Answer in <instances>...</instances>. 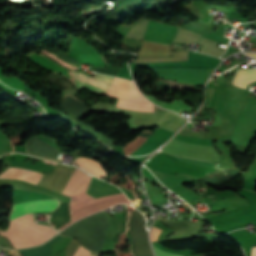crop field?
<instances>
[{
    "label": "crop field",
    "instance_id": "1",
    "mask_svg": "<svg viewBox=\"0 0 256 256\" xmlns=\"http://www.w3.org/2000/svg\"><path fill=\"white\" fill-rule=\"evenodd\" d=\"M10 229L21 233L31 239H34L40 243L46 241L47 239L51 238L52 234L20 219L15 218L12 221H10ZM6 230L5 232H0L1 235L6 236L13 244L15 248H25L33 245H37L39 243L20 235L12 230Z\"/></svg>",
    "mask_w": 256,
    "mask_h": 256
},
{
    "label": "crop field",
    "instance_id": "10",
    "mask_svg": "<svg viewBox=\"0 0 256 256\" xmlns=\"http://www.w3.org/2000/svg\"><path fill=\"white\" fill-rule=\"evenodd\" d=\"M88 69L96 71L98 73L110 74L114 76H116L118 71L120 70L119 67H113V66H110L107 69L105 68H88Z\"/></svg>",
    "mask_w": 256,
    "mask_h": 256
},
{
    "label": "crop field",
    "instance_id": "12",
    "mask_svg": "<svg viewBox=\"0 0 256 256\" xmlns=\"http://www.w3.org/2000/svg\"><path fill=\"white\" fill-rule=\"evenodd\" d=\"M178 160H182V161H186V162H190V163H194V164H199V165H204V166H209V167H213L214 165L210 162H203V161H198V160H193V159H189V158H185V157H177Z\"/></svg>",
    "mask_w": 256,
    "mask_h": 256
},
{
    "label": "crop field",
    "instance_id": "4",
    "mask_svg": "<svg viewBox=\"0 0 256 256\" xmlns=\"http://www.w3.org/2000/svg\"><path fill=\"white\" fill-rule=\"evenodd\" d=\"M59 204L56 199L31 201L25 203L14 204L12 207L10 220L16 216L26 213L53 211Z\"/></svg>",
    "mask_w": 256,
    "mask_h": 256
},
{
    "label": "crop field",
    "instance_id": "20",
    "mask_svg": "<svg viewBox=\"0 0 256 256\" xmlns=\"http://www.w3.org/2000/svg\"><path fill=\"white\" fill-rule=\"evenodd\" d=\"M54 160V159H53Z\"/></svg>",
    "mask_w": 256,
    "mask_h": 256
},
{
    "label": "crop field",
    "instance_id": "11",
    "mask_svg": "<svg viewBox=\"0 0 256 256\" xmlns=\"http://www.w3.org/2000/svg\"><path fill=\"white\" fill-rule=\"evenodd\" d=\"M145 139L146 138L137 137L134 140H132L130 143H127L126 146L124 147V153L127 155Z\"/></svg>",
    "mask_w": 256,
    "mask_h": 256
},
{
    "label": "crop field",
    "instance_id": "8",
    "mask_svg": "<svg viewBox=\"0 0 256 256\" xmlns=\"http://www.w3.org/2000/svg\"><path fill=\"white\" fill-rule=\"evenodd\" d=\"M51 216L56 229L70 221L69 203L60 204V206L51 213Z\"/></svg>",
    "mask_w": 256,
    "mask_h": 256
},
{
    "label": "crop field",
    "instance_id": "18",
    "mask_svg": "<svg viewBox=\"0 0 256 256\" xmlns=\"http://www.w3.org/2000/svg\"><path fill=\"white\" fill-rule=\"evenodd\" d=\"M247 55H249V56H252V57L256 58V53H247Z\"/></svg>",
    "mask_w": 256,
    "mask_h": 256
},
{
    "label": "crop field",
    "instance_id": "17",
    "mask_svg": "<svg viewBox=\"0 0 256 256\" xmlns=\"http://www.w3.org/2000/svg\"><path fill=\"white\" fill-rule=\"evenodd\" d=\"M251 256H256V247L252 248Z\"/></svg>",
    "mask_w": 256,
    "mask_h": 256
},
{
    "label": "crop field",
    "instance_id": "19",
    "mask_svg": "<svg viewBox=\"0 0 256 256\" xmlns=\"http://www.w3.org/2000/svg\"><path fill=\"white\" fill-rule=\"evenodd\" d=\"M91 256H94V255H91Z\"/></svg>",
    "mask_w": 256,
    "mask_h": 256
},
{
    "label": "crop field",
    "instance_id": "9",
    "mask_svg": "<svg viewBox=\"0 0 256 256\" xmlns=\"http://www.w3.org/2000/svg\"><path fill=\"white\" fill-rule=\"evenodd\" d=\"M148 99H150L152 102L162 106V107H165V108H168L170 110H173V111H176V112H180L183 108L185 109H189V108H192L188 105H185L183 101H178V100H174L172 104H169V103H164V102H160V101H156L154 100L153 97H150V96H147L145 95Z\"/></svg>",
    "mask_w": 256,
    "mask_h": 256
},
{
    "label": "crop field",
    "instance_id": "2",
    "mask_svg": "<svg viewBox=\"0 0 256 256\" xmlns=\"http://www.w3.org/2000/svg\"><path fill=\"white\" fill-rule=\"evenodd\" d=\"M127 228L133 242L134 256H153L147 240V231L144 229V217L133 208L127 206Z\"/></svg>",
    "mask_w": 256,
    "mask_h": 256
},
{
    "label": "crop field",
    "instance_id": "3",
    "mask_svg": "<svg viewBox=\"0 0 256 256\" xmlns=\"http://www.w3.org/2000/svg\"><path fill=\"white\" fill-rule=\"evenodd\" d=\"M76 84L80 89L83 87L103 95L109 88L113 77L96 74L93 78L77 71H73Z\"/></svg>",
    "mask_w": 256,
    "mask_h": 256
},
{
    "label": "crop field",
    "instance_id": "13",
    "mask_svg": "<svg viewBox=\"0 0 256 256\" xmlns=\"http://www.w3.org/2000/svg\"><path fill=\"white\" fill-rule=\"evenodd\" d=\"M47 52L50 53V54H52V55H55V56H57V57H59V58H62V59H64V60L68 61V62H73V63H75V64L78 63L77 61H75V60L69 58L68 56L64 55L63 53H61V52H59V51H47Z\"/></svg>",
    "mask_w": 256,
    "mask_h": 256
},
{
    "label": "crop field",
    "instance_id": "15",
    "mask_svg": "<svg viewBox=\"0 0 256 256\" xmlns=\"http://www.w3.org/2000/svg\"><path fill=\"white\" fill-rule=\"evenodd\" d=\"M159 232H161V230H159V229H157V228H155V227H152L150 240H151V241H156Z\"/></svg>",
    "mask_w": 256,
    "mask_h": 256
},
{
    "label": "crop field",
    "instance_id": "16",
    "mask_svg": "<svg viewBox=\"0 0 256 256\" xmlns=\"http://www.w3.org/2000/svg\"><path fill=\"white\" fill-rule=\"evenodd\" d=\"M85 248L81 247L77 250V252L74 254V256H81ZM90 252L85 249L82 256H89Z\"/></svg>",
    "mask_w": 256,
    "mask_h": 256
},
{
    "label": "crop field",
    "instance_id": "14",
    "mask_svg": "<svg viewBox=\"0 0 256 256\" xmlns=\"http://www.w3.org/2000/svg\"><path fill=\"white\" fill-rule=\"evenodd\" d=\"M154 247V252L156 256H178V255H174V254H170L164 251L159 250L158 248Z\"/></svg>",
    "mask_w": 256,
    "mask_h": 256
},
{
    "label": "crop field",
    "instance_id": "6",
    "mask_svg": "<svg viewBox=\"0 0 256 256\" xmlns=\"http://www.w3.org/2000/svg\"><path fill=\"white\" fill-rule=\"evenodd\" d=\"M256 80V70L238 69L233 84L246 89L247 84Z\"/></svg>",
    "mask_w": 256,
    "mask_h": 256
},
{
    "label": "crop field",
    "instance_id": "5",
    "mask_svg": "<svg viewBox=\"0 0 256 256\" xmlns=\"http://www.w3.org/2000/svg\"><path fill=\"white\" fill-rule=\"evenodd\" d=\"M46 163L54 164L49 161H45ZM42 174L33 172V171H28L20 168H9L7 171H5L3 174L0 175V178H7V179H22L28 182L36 183L38 184Z\"/></svg>",
    "mask_w": 256,
    "mask_h": 256
},
{
    "label": "crop field",
    "instance_id": "7",
    "mask_svg": "<svg viewBox=\"0 0 256 256\" xmlns=\"http://www.w3.org/2000/svg\"><path fill=\"white\" fill-rule=\"evenodd\" d=\"M75 162L82 169H84L85 171H87L88 173H90L96 177L102 178L105 175H107L103 172V170H102L103 168L101 169V167L99 166L98 163H96L90 159L77 158V159H75Z\"/></svg>",
    "mask_w": 256,
    "mask_h": 256
}]
</instances>
